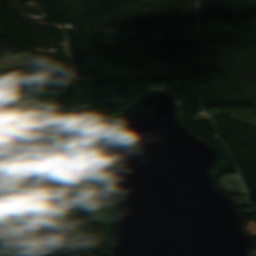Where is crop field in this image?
Segmentation results:
<instances>
[{
    "label": "crop field",
    "mask_w": 256,
    "mask_h": 256,
    "mask_svg": "<svg viewBox=\"0 0 256 256\" xmlns=\"http://www.w3.org/2000/svg\"><path fill=\"white\" fill-rule=\"evenodd\" d=\"M32 158L34 161L21 164L31 182L25 193L102 189L80 148L33 155Z\"/></svg>",
    "instance_id": "crop-field-1"
},
{
    "label": "crop field",
    "mask_w": 256,
    "mask_h": 256,
    "mask_svg": "<svg viewBox=\"0 0 256 256\" xmlns=\"http://www.w3.org/2000/svg\"><path fill=\"white\" fill-rule=\"evenodd\" d=\"M17 103L19 105L16 113L14 112V117L21 114L19 120L0 125V135L11 133H42L67 129L62 110L54 100H31L24 102L23 105L22 102Z\"/></svg>",
    "instance_id": "crop-field-2"
},
{
    "label": "crop field",
    "mask_w": 256,
    "mask_h": 256,
    "mask_svg": "<svg viewBox=\"0 0 256 256\" xmlns=\"http://www.w3.org/2000/svg\"><path fill=\"white\" fill-rule=\"evenodd\" d=\"M66 207H56L53 208L55 215H58L60 219L56 220V222L62 224L71 223V219L69 215H72V211L74 206H69L67 209ZM70 210V212H67ZM65 211V212H63ZM94 215L91 217L92 224H100L101 226H108L105 232H101L102 236H99V240H108V237L111 233V227L113 225L114 216H113V207H92L87 210V207H75L73 218H77V216L81 213H86ZM103 211H107V213H102Z\"/></svg>",
    "instance_id": "crop-field-3"
},
{
    "label": "crop field",
    "mask_w": 256,
    "mask_h": 256,
    "mask_svg": "<svg viewBox=\"0 0 256 256\" xmlns=\"http://www.w3.org/2000/svg\"><path fill=\"white\" fill-rule=\"evenodd\" d=\"M40 203L45 207L44 203H52L53 206L65 205L67 204H77V205H102L106 204L103 199V193L98 190L90 191H72V192H62V193H44L40 194ZM91 197V198H82ZM53 200H62L58 202H53Z\"/></svg>",
    "instance_id": "crop-field-4"
},
{
    "label": "crop field",
    "mask_w": 256,
    "mask_h": 256,
    "mask_svg": "<svg viewBox=\"0 0 256 256\" xmlns=\"http://www.w3.org/2000/svg\"><path fill=\"white\" fill-rule=\"evenodd\" d=\"M39 65L41 64L29 53L0 58V71L16 70L27 66L35 67Z\"/></svg>",
    "instance_id": "crop-field-5"
},
{
    "label": "crop field",
    "mask_w": 256,
    "mask_h": 256,
    "mask_svg": "<svg viewBox=\"0 0 256 256\" xmlns=\"http://www.w3.org/2000/svg\"><path fill=\"white\" fill-rule=\"evenodd\" d=\"M90 140L86 130L65 132L57 138V147L67 148L87 144Z\"/></svg>",
    "instance_id": "crop-field-6"
},
{
    "label": "crop field",
    "mask_w": 256,
    "mask_h": 256,
    "mask_svg": "<svg viewBox=\"0 0 256 256\" xmlns=\"http://www.w3.org/2000/svg\"><path fill=\"white\" fill-rule=\"evenodd\" d=\"M0 177H8L11 184L14 185L12 188H8L11 194L20 193L25 189V187L15 188V183L26 182L15 163L6 164L0 169Z\"/></svg>",
    "instance_id": "crop-field-7"
},
{
    "label": "crop field",
    "mask_w": 256,
    "mask_h": 256,
    "mask_svg": "<svg viewBox=\"0 0 256 256\" xmlns=\"http://www.w3.org/2000/svg\"><path fill=\"white\" fill-rule=\"evenodd\" d=\"M219 181L228 194H245V189L238 174L223 175Z\"/></svg>",
    "instance_id": "crop-field-8"
},
{
    "label": "crop field",
    "mask_w": 256,
    "mask_h": 256,
    "mask_svg": "<svg viewBox=\"0 0 256 256\" xmlns=\"http://www.w3.org/2000/svg\"><path fill=\"white\" fill-rule=\"evenodd\" d=\"M31 144H32L33 147L41 146V147L45 148V150L32 152V147H28V148H12V147H8V148L10 149V151L14 155V157L22 156V155H27V154H32V153L43 152V151L53 150L50 147H45V146L41 145L38 141L32 142Z\"/></svg>",
    "instance_id": "crop-field-9"
},
{
    "label": "crop field",
    "mask_w": 256,
    "mask_h": 256,
    "mask_svg": "<svg viewBox=\"0 0 256 256\" xmlns=\"http://www.w3.org/2000/svg\"><path fill=\"white\" fill-rule=\"evenodd\" d=\"M2 226L4 228H2ZM1 239H13L10 231L6 227V225L3 223L2 220H0V240Z\"/></svg>",
    "instance_id": "crop-field-10"
},
{
    "label": "crop field",
    "mask_w": 256,
    "mask_h": 256,
    "mask_svg": "<svg viewBox=\"0 0 256 256\" xmlns=\"http://www.w3.org/2000/svg\"><path fill=\"white\" fill-rule=\"evenodd\" d=\"M17 105H18V104H14V106L12 107V109H11L8 113H6L5 115L0 116V119L12 117V116L14 115V112H15V110H16ZM18 118H19V117H18ZM18 118H15L14 120H18ZM9 121H13V120L10 119V120H6V121H2V122H0V124H2V123H7V122H9Z\"/></svg>",
    "instance_id": "crop-field-11"
},
{
    "label": "crop field",
    "mask_w": 256,
    "mask_h": 256,
    "mask_svg": "<svg viewBox=\"0 0 256 256\" xmlns=\"http://www.w3.org/2000/svg\"><path fill=\"white\" fill-rule=\"evenodd\" d=\"M18 221H8V223L11 225V227L13 228L14 232L16 235H19L21 233L20 229H17L18 227H21L23 222H18Z\"/></svg>",
    "instance_id": "crop-field-12"
},
{
    "label": "crop field",
    "mask_w": 256,
    "mask_h": 256,
    "mask_svg": "<svg viewBox=\"0 0 256 256\" xmlns=\"http://www.w3.org/2000/svg\"><path fill=\"white\" fill-rule=\"evenodd\" d=\"M23 205H25V204H22L21 206H18V207H14V208L8 209L7 215H9L10 213H13V212L21 211V210L27 211V210L23 207Z\"/></svg>",
    "instance_id": "crop-field-13"
},
{
    "label": "crop field",
    "mask_w": 256,
    "mask_h": 256,
    "mask_svg": "<svg viewBox=\"0 0 256 256\" xmlns=\"http://www.w3.org/2000/svg\"><path fill=\"white\" fill-rule=\"evenodd\" d=\"M9 154L7 153V151L5 150V148L3 147V145L0 142V158L3 157H8Z\"/></svg>",
    "instance_id": "crop-field-14"
},
{
    "label": "crop field",
    "mask_w": 256,
    "mask_h": 256,
    "mask_svg": "<svg viewBox=\"0 0 256 256\" xmlns=\"http://www.w3.org/2000/svg\"><path fill=\"white\" fill-rule=\"evenodd\" d=\"M247 229L252 236H256V225H248Z\"/></svg>",
    "instance_id": "crop-field-15"
},
{
    "label": "crop field",
    "mask_w": 256,
    "mask_h": 256,
    "mask_svg": "<svg viewBox=\"0 0 256 256\" xmlns=\"http://www.w3.org/2000/svg\"><path fill=\"white\" fill-rule=\"evenodd\" d=\"M10 248H11V247L0 249V256H4L3 251H5V250H10Z\"/></svg>",
    "instance_id": "crop-field-16"
},
{
    "label": "crop field",
    "mask_w": 256,
    "mask_h": 256,
    "mask_svg": "<svg viewBox=\"0 0 256 256\" xmlns=\"http://www.w3.org/2000/svg\"><path fill=\"white\" fill-rule=\"evenodd\" d=\"M5 206L2 204L1 200H0V216L2 215V209L4 208Z\"/></svg>",
    "instance_id": "crop-field-17"
},
{
    "label": "crop field",
    "mask_w": 256,
    "mask_h": 256,
    "mask_svg": "<svg viewBox=\"0 0 256 256\" xmlns=\"http://www.w3.org/2000/svg\"><path fill=\"white\" fill-rule=\"evenodd\" d=\"M22 196H30L29 201H28L27 203H29V202H31V201H32L31 194H23ZM27 203H26V204H27Z\"/></svg>",
    "instance_id": "crop-field-18"
},
{
    "label": "crop field",
    "mask_w": 256,
    "mask_h": 256,
    "mask_svg": "<svg viewBox=\"0 0 256 256\" xmlns=\"http://www.w3.org/2000/svg\"><path fill=\"white\" fill-rule=\"evenodd\" d=\"M0 189L6 190V192H4V193L0 192V194L10 193V192L7 190V188H1V187H0Z\"/></svg>",
    "instance_id": "crop-field-19"
},
{
    "label": "crop field",
    "mask_w": 256,
    "mask_h": 256,
    "mask_svg": "<svg viewBox=\"0 0 256 256\" xmlns=\"http://www.w3.org/2000/svg\"><path fill=\"white\" fill-rule=\"evenodd\" d=\"M20 185H21V186H26V184H25V183H24V184H22V183H21ZM16 187H18V184H16Z\"/></svg>",
    "instance_id": "crop-field-20"
}]
</instances>
